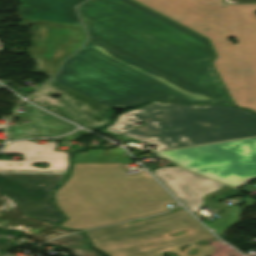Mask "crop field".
<instances>
[{
  "instance_id": "obj_1",
  "label": "crop field",
  "mask_w": 256,
  "mask_h": 256,
  "mask_svg": "<svg viewBox=\"0 0 256 256\" xmlns=\"http://www.w3.org/2000/svg\"><path fill=\"white\" fill-rule=\"evenodd\" d=\"M89 42L52 81L110 108L153 100L235 106L207 38L131 1L79 7Z\"/></svg>"
},
{
  "instance_id": "obj_2",
  "label": "crop field",
  "mask_w": 256,
  "mask_h": 256,
  "mask_svg": "<svg viewBox=\"0 0 256 256\" xmlns=\"http://www.w3.org/2000/svg\"><path fill=\"white\" fill-rule=\"evenodd\" d=\"M207 37L214 66L238 107L256 113V4L221 5V0H134ZM234 38L233 45L227 39Z\"/></svg>"
},
{
  "instance_id": "obj_3",
  "label": "crop field",
  "mask_w": 256,
  "mask_h": 256,
  "mask_svg": "<svg viewBox=\"0 0 256 256\" xmlns=\"http://www.w3.org/2000/svg\"><path fill=\"white\" fill-rule=\"evenodd\" d=\"M54 198L68 217L61 226L78 230L164 212L176 203L146 172L127 175L122 163L73 164Z\"/></svg>"
},
{
  "instance_id": "obj_4",
  "label": "crop field",
  "mask_w": 256,
  "mask_h": 256,
  "mask_svg": "<svg viewBox=\"0 0 256 256\" xmlns=\"http://www.w3.org/2000/svg\"><path fill=\"white\" fill-rule=\"evenodd\" d=\"M164 110L162 115L153 113ZM134 121L148 125L123 135L161 149L211 143L256 136V115L242 109L209 105L186 106L153 101L132 111L121 113L105 130L121 134L133 127Z\"/></svg>"
},
{
  "instance_id": "obj_5",
  "label": "crop field",
  "mask_w": 256,
  "mask_h": 256,
  "mask_svg": "<svg viewBox=\"0 0 256 256\" xmlns=\"http://www.w3.org/2000/svg\"><path fill=\"white\" fill-rule=\"evenodd\" d=\"M182 230L187 232L171 237ZM85 233L94 248L109 256H162L160 253L166 251H173L179 256H208L213 252V246L198 247L193 242L215 238L184 209L134 224L127 222ZM184 244L189 246L182 252L181 245ZM188 250L189 255H186ZM193 250L198 251L196 255L191 253Z\"/></svg>"
},
{
  "instance_id": "obj_6",
  "label": "crop field",
  "mask_w": 256,
  "mask_h": 256,
  "mask_svg": "<svg viewBox=\"0 0 256 256\" xmlns=\"http://www.w3.org/2000/svg\"><path fill=\"white\" fill-rule=\"evenodd\" d=\"M155 153L234 187L256 177V138Z\"/></svg>"
},
{
  "instance_id": "obj_7",
  "label": "crop field",
  "mask_w": 256,
  "mask_h": 256,
  "mask_svg": "<svg viewBox=\"0 0 256 256\" xmlns=\"http://www.w3.org/2000/svg\"><path fill=\"white\" fill-rule=\"evenodd\" d=\"M22 23L37 25L29 56L38 64L33 71L53 76L58 64L86 40L81 26L22 18Z\"/></svg>"
},
{
  "instance_id": "obj_8",
  "label": "crop field",
  "mask_w": 256,
  "mask_h": 256,
  "mask_svg": "<svg viewBox=\"0 0 256 256\" xmlns=\"http://www.w3.org/2000/svg\"><path fill=\"white\" fill-rule=\"evenodd\" d=\"M64 176L0 173V190L17 200L24 214L57 223L64 217L53 205L50 193Z\"/></svg>"
},
{
  "instance_id": "obj_9",
  "label": "crop field",
  "mask_w": 256,
  "mask_h": 256,
  "mask_svg": "<svg viewBox=\"0 0 256 256\" xmlns=\"http://www.w3.org/2000/svg\"><path fill=\"white\" fill-rule=\"evenodd\" d=\"M52 94L62 95L61 99L50 98ZM28 100L90 130L107 124L115 112L50 80Z\"/></svg>"
},
{
  "instance_id": "obj_10",
  "label": "crop field",
  "mask_w": 256,
  "mask_h": 256,
  "mask_svg": "<svg viewBox=\"0 0 256 256\" xmlns=\"http://www.w3.org/2000/svg\"><path fill=\"white\" fill-rule=\"evenodd\" d=\"M152 173L165 184L191 211H196L202 204L215 211L221 204L219 199L227 196L240 195L235 189L220 183L211 181L178 166L168 168L161 167ZM209 196H216L210 200Z\"/></svg>"
},
{
  "instance_id": "obj_11",
  "label": "crop field",
  "mask_w": 256,
  "mask_h": 256,
  "mask_svg": "<svg viewBox=\"0 0 256 256\" xmlns=\"http://www.w3.org/2000/svg\"><path fill=\"white\" fill-rule=\"evenodd\" d=\"M56 144L54 142H47L40 145L27 140L12 142L0 153H23L24 161L0 160V172L65 174L68 166L67 153L53 151ZM36 162L49 163V167L47 169H39L30 166ZM18 163H21V165H18Z\"/></svg>"
},
{
  "instance_id": "obj_12",
  "label": "crop field",
  "mask_w": 256,
  "mask_h": 256,
  "mask_svg": "<svg viewBox=\"0 0 256 256\" xmlns=\"http://www.w3.org/2000/svg\"><path fill=\"white\" fill-rule=\"evenodd\" d=\"M0 227L18 229L37 243L77 231L59 228L56 224L40 221L22 214L16 201L0 193Z\"/></svg>"
},
{
  "instance_id": "obj_13",
  "label": "crop field",
  "mask_w": 256,
  "mask_h": 256,
  "mask_svg": "<svg viewBox=\"0 0 256 256\" xmlns=\"http://www.w3.org/2000/svg\"><path fill=\"white\" fill-rule=\"evenodd\" d=\"M24 105L27 112L15 114V116L29 117L32 123L7 126L8 138L11 140L24 137L59 136L76 128V126L54 117L26 101Z\"/></svg>"
},
{
  "instance_id": "obj_14",
  "label": "crop field",
  "mask_w": 256,
  "mask_h": 256,
  "mask_svg": "<svg viewBox=\"0 0 256 256\" xmlns=\"http://www.w3.org/2000/svg\"><path fill=\"white\" fill-rule=\"evenodd\" d=\"M20 17L81 25L74 6L84 0H16Z\"/></svg>"
},
{
  "instance_id": "obj_15",
  "label": "crop field",
  "mask_w": 256,
  "mask_h": 256,
  "mask_svg": "<svg viewBox=\"0 0 256 256\" xmlns=\"http://www.w3.org/2000/svg\"><path fill=\"white\" fill-rule=\"evenodd\" d=\"M237 200L238 201L233 203L231 206L225 204L221 209H219L215 214L221 216V218L214 222L206 224V226L218 235L229 226H231L233 223L238 221V215L241 210H243L252 202L256 201L248 196H245V198H237ZM240 201H246L245 206L242 209L236 206V204Z\"/></svg>"
},
{
  "instance_id": "obj_16",
  "label": "crop field",
  "mask_w": 256,
  "mask_h": 256,
  "mask_svg": "<svg viewBox=\"0 0 256 256\" xmlns=\"http://www.w3.org/2000/svg\"><path fill=\"white\" fill-rule=\"evenodd\" d=\"M122 148H114L109 150L95 149L89 150L87 154H74V163H98V162H131L124 153ZM111 159V161H106Z\"/></svg>"
},
{
  "instance_id": "obj_17",
  "label": "crop field",
  "mask_w": 256,
  "mask_h": 256,
  "mask_svg": "<svg viewBox=\"0 0 256 256\" xmlns=\"http://www.w3.org/2000/svg\"><path fill=\"white\" fill-rule=\"evenodd\" d=\"M44 244H53L58 246H77V247H88L89 241L83 236L82 233L73 234L63 238L48 241Z\"/></svg>"
},
{
  "instance_id": "obj_18",
  "label": "crop field",
  "mask_w": 256,
  "mask_h": 256,
  "mask_svg": "<svg viewBox=\"0 0 256 256\" xmlns=\"http://www.w3.org/2000/svg\"><path fill=\"white\" fill-rule=\"evenodd\" d=\"M62 248L69 250L75 256H99L95 251L89 250L87 248Z\"/></svg>"
},
{
  "instance_id": "obj_19",
  "label": "crop field",
  "mask_w": 256,
  "mask_h": 256,
  "mask_svg": "<svg viewBox=\"0 0 256 256\" xmlns=\"http://www.w3.org/2000/svg\"><path fill=\"white\" fill-rule=\"evenodd\" d=\"M224 3H256V0H225Z\"/></svg>"
},
{
  "instance_id": "obj_20",
  "label": "crop field",
  "mask_w": 256,
  "mask_h": 256,
  "mask_svg": "<svg viewBox=\"0 0 256 256\" xmlns=\"http://www.w3.org/2000/svg\"><path fill=\"white\" fill-rule=\"evenodd\" d=\"M86 134H88V133L84 132L83 130H80V131L76 132L74 135L66 136L65 139H67V140L76 139L77 136H79V135H86Z\"/></svg>"
},
{
  "instance_id": "obj_21",
  "label": "crop field",
  "mask_w": 256,
  "mask_h": 256,
  "mask_svg": "<svg viewBox=\"0 0 256 256\" xmlns=\"http://www.w3.org/2000/svg\"><path fill=\"white\" fill-rule=\"evenodd\" d=\"M118 138L124 139V140H128V141H131V142H135V143H137L139 141V140H136V139H133V138H129V137L123 136V135H121Z\"/></svg>"
},
{
  "instance_id": "obj_22",
  "label": "crop field",
  "mask_w": 256,
  "mask_h": 256,
  "mask_svg": "<svg viewBox=\"0 0 256 256\" xmlns=\"http://www.w3.org/2000/svg\"><path fill=\"white\" fill-rule=\"evenodd\" d=\"M99 132L104 133V134H109V135H111V136H113V137H115V136L118 135V134H115V133H111V132L105 131V130H103V129L99 130Z\"/></svg>"
},
{
  "instance_id": "obj_23",
  "label": "crop field",
  "mask_w": 256,
  "mask_h": 256,
  "mask_svg": "<svg viewBox=\"0 0 256 256\" xmlns=\"http://www.w3.org/2000/svg\"><path fill=\"white\" fill-rule=\"evenodd\" d=\"M162 113H164V111H159V112H156V113H154L155 115H158V114H162Z\"/></svg>"
},
{
  "instance_id": "obj_24",
  "label": "crop field",
  "mask_w": 256,
  "mask_h": 256,
  "mask_svg": "<svg viewBox=\"0 0 256 256\" xmlns=\"http://www.w3.org/2000/svg\"><path fill=\"white\" fill-rule=\"evenodd\" d=\"M6 125L0 124V128H5Z\"/></svg>"
},
{
  "instance_id": "obj_25",
  "label": "crop field",
  "mask_w": 256,
  "mask_h": 256,
  "mask_svg": "<svg viewBox=\"0 0 256 256\" xmlns=\"http://www.w3.org/2000/svg\"><path fill=\"white\" fill-rule=\"evenodd\" d=\"M1 256H11V255H6V254H3V255H1Z\"/></svg>"
},
{
  "instance_id": "obj_26",
  "label": "crop field",
  "mask_w": 256,
  "mask_h": 256,
  "mask_svg": "<svg viewBox=\"0 0 256 256\" xmlns=\"http://www.w3.org/2000/svg\"><path fill=\"white\" fill-rule=\"evenodd\" d=\"M3 254V253H0V255Z\"/></svg>"
},
{
  "instance_id": "obj_27",
  "label": "crop field",
  "mask_w": 256,
  "mask_h": 256,
  "mask_svg": "<svg viewBox=\"0 0 256 256\" xmlns=\"http://www.w3.org/2000/svg\"><path fill=\"white\" fill-rule=\"evenodd\" d=\"M1 87V86H0Z\"/></svg>"
}]
</instances>
